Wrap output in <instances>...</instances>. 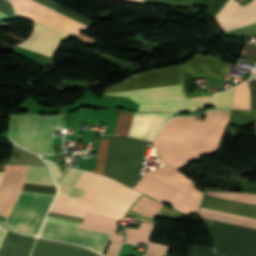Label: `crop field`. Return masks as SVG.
<instances>
[{
	"label": "crop field",
	"mask_w": 256,
	"mask_h": 256,
	"mask_svg": "<svg viewBox=\"0 0 256 256\" xmlns=\"http://www.w3.org/2000/svg\"><path fill=\"white\" fill-rule=\"evenodd\" d=\"M148 144L111 137L104 175L133 188L140 178L137 173ZM105 176L85 171L74 185L87 191L84 198L57 195L50 211L82 218L87 211L122 218L141 193Z\"/></svg>",
	"instance_id": "obj_1"
},
{
	"label": "crop field",
	"mask_w": 256,
	"mask_h": 256,
	"mask_svg": "<svg viewBox=\"0 0 256 256\" xmlns=\"http://www.w3.org/2000/svg\"><path fill=\"white\" fill-rule=\"evenodd\" d=\"M230 64L216 58L195 54L184 64L134 75L106 88L104 93L182 84L186 73L209 74L222 78ZM181 85L109 93L124 96L139 104L138 111H192L212 105V97L186 98ZM183 93L185 94L184 90Z\"/></svg>",
	"instance_id": "obj_2"
},
{
	"label": "crop field",
	"mask_w": 256,
	"mask_h": 256,
	"mask_svg": "<svg viewBox=\"0 0 256 256\" xmlns=\"http://www.w3.org/2000/svg\"><path fill=\"white\" fill-rule=\"evenodd\" d=\"M230 113L208 112L204 121L174 118L152 140L160 162L181 168L218 150Z\"/></svg>",
	"instance_id": "obj_3"
},
{
	"label": "crop field",
	"mask_w": 256,
	"mask_h": 256,
	"mask_svg": "<svg viewBox=\"0 0 256 256\" xmlns=\"http://www.w3.org/2000/svg\"><path fill=\"white\" fill-rule=\"evenodd\" d=\"M184 173L164 165L145 175L134 187L186 214H196L204 193Z\"/></svg>",
	"instance_id": "obj_4"
},
{
	"label": "crop field",
	"mask_w": 256,
	"mask_h": 256,
	"mask_svg": "<svg viewBox=\"0 0 256 256\" xmlns=\"http://www.w3.org/2000/svg\"><path fill=\"white\" fill-rule=\"evenodd\" d=\"M54 128H65V116H11V141L37 154H52Z\"/></svg>",
	"instance_id": "obj_5"
},
{
	"label": "crop field",
	"mask_w": 256,
	"mask_h": 256,
	"mask_svg": "<svg viewBox=\"0 0 256 256\" xmlns=\"http://www.w3.org/2000/svg\"><path fill=\"white\" fill-rule=\"evenodd\" d=\"M217 194L256 202V195L254 194H248L243 192L217 193ZM221 195L205 192V197L201 206L256 218L255 202L230 198V197L221 196ZM203 207L200 208V211L197 216L256 229L255 218L226 213V212L212 210V209L203 208Z\"/></svg>",
	"instance_id": "obj_6"
},
{
	"label": "crop field",
	"mask_w": 256,
	"mask_h": 256,
	"mask_svg": "<svg viewBox=\"0 0 256 256\" xmlns=\"http://www.w3.org/2000/svg\"><path fill=\"white\" fill-rule=\"evenodd\" d=\"M54 196L22 192L4 223L16 232L36 236Z\"/></svg>",
	"instance_id": "obj_7"
},
{
	"label": "crop field",
	"mask_w": 256,
	"mask_h": 256,
	"mask_svg": "<svg viewBox=\"0 0 256 256\" xmlns=\"http://www.w3.org/2000/svg\"><path fill=\"white\" fill-rule=\"evenodd\" d=\"M9 1L13 3L18 15L38 23L73 34L89 28L32 0Z\"/></svg>",
	"instance_id": "obj_8"
},
{
	"label": "crop field",
	"mask_w": 256,
	"mask_h": 256,
	"mask_svg": "<svg viewBox=\"0 0 256 256\" xmlns=\"http://www.w3.org/2000/svg\"><path fill=\"white\" fill-rule=\"evenodd\" d=\"M39 236L87 246L103 254L109 234L82 230L45 222Z\"/></svg>",
	"instance_id": "obj_9"
},
{
	"label": "crop field",
	"mask_w": 256,
	"mask_h": 256,
	"mask_svg": "<svg viewBox=\"0 0 256 256\" xmlns=\"http://www.w3.org/2000/svg\"><path fill=\"white\" fill-rule=\"evenodd\" d=\"M215 18L224 32L256 23V0L244 6L229 0Z\"/></svg>",
	"instance_id": "obj_10"
},
{
	"label": "crop field",
	"mask_w": 256,
	"mask_h": 256,
	"mask_svg": "<svg viewBox=\"0 0 256 256\" xmlns=\"http://www.w3.org/2000/svg\"><path fill=\"white\" fill-rule=\"evenodd\" d=\"M252 110H256V80L249 81ZM231 109L250 110L247 82L234 89ZM229 122H256V112L232 110Z\"/></svg>",
	"instance_id": "obj_11"
},
{
	"label": "crop field",
	"mask_w": 256,
	"mask_h": 256,
	"mask_svg": "<svg viewBox=\"0 0 256 256\" xmlns=\"http://www.w3.org/2000/svg\"><path fill=\"white\" fill-rule=\"evenodd\" d=\"M70 36L58 30L36 24L31 36L18 45L51 56L58 43Z\"/></svg>",
	"instance_id": "obj_12"
},
{
	"label": "crop field",
	"mask_w": 256,
	"mask_h": 256,
	"mask_svg": "<svg viewBox=\"0 0 256 256\" xmlns=\"http://www.w3.org/2000/svg\"><path fill=\"white\" fill-rule=\"evenodd\" d=\"M27 170L5 172L0 182V215L7 217L24 184Z\"/></svg>",
	"instance_id": "obj_13"
},
{
	"label": "crop field",
	"mask_w": 256,
	"mask_h": 256,
	"mask_svg": "<svg viewBox=\"0 0 256 256\" xmlns=\"http://www.w3.org/2000/svg\"><path fill=\"white\" fill-rule=\"evenodd\" d=\"M171 115L167 113H135L128 136L152 139Z\"/></svg>",
	"instance_id": "obj_14"
},
{
	"label": "crop field",
	"mask_w": 256,
	"mask_h": 256,
	"mask_svg": "<svg viewBox=\"0 0 256 256\" xmlns=\"http://www.w3.org/2000/svg\"><path fill=\"white\" fill-rule=\"evenodd\" d=\"M31 256H100L87 249L38 238Z\"/></svg>",
	"instance_id": "obj_15"
},
{
	"label": "crop field",
	"mask_w": 256,
	"mask_h": 256,
	"mask_svg": "<svg viewBox=\"0 0 256 256\" xmlns=\"http://www.w3.org/2000/svg\"><path fill=\"white\" fill-rule=\"evenodd\" d=\"M6 228L0 224V241ZM35 238L18 236L6 230L0 244V256H29Z\"/></svg>",
	"instance_id": "obj_16"
},
{
	"label": "crop field",
	"mask_w": 256,
	"mask_h": 256,
	"mask_svg": "<svg viewBox=\"0 0 256 256\" xmlns=\"http://www.w3.org/2000/svg\"><path fill=\"white\" fill-rule=\"evenodd\" d=\"M116 222L117 219L88 212L80 228L112 234L110 240L121 243L123 236L116 235Z\"/></svg>",
	"instance_id": "obj_17"
},
{
	"label": "crop field",
	"mask_w": 256,
	"mask_h": 256,
	"mask_svg": "<svg viewBox=\"0 0 256 256\" xmlns=\"http://www.w3.org/2000/svg\"><path fill=\"white\" fill-rule=\"evenodd\" d=\"M83 172L84 170L73 169L67 166L61 177L56 182L58 186V194L82 198L85 191L79 190L72 186L83 174Z\"/></svg>",
	"instance_id": "obj_18"
},
{
	"label": "crop field",
	"mask_w": 256,
	"mask_h": 256,
	"mask_svg": "<svg viewBox=\"0 0 256 256\" xmlns=\"http://www.w3.org/2000/svg\"><path fill=\"white\" fill-rule=\"evenodd\" d=\"M25 182L55 186L47 166L29 165Z\"/></svg>",
	"instance_id": "obj_19"
},
{
	"label": "crop field",
	"mask_w": 256,
	"mask_h": 256,
	"mask_svg": "<svg viewBox=\"0 0 256 256\" xmlns=\"http://www.w3.org/2000/svg\"><path fill=\"white\" fill-rule=\"evenodd\" d=\"M153 224L141 223L139 230L126 228L127 243L137 244L138 242L147 244L154 229Z\"/></svg>",
	"instance_id": "obj_20"
},
{
	"label": "crop field",
	"mask_w": 256,
	"mask_h": 256,
	"mask_svg": "<svg viewBox=\"0 0 256 256\" xmlns=\"http://www.w3.org/2000/svg\"><path fill=\"white\" fill-rule=\"evenodd\" d=\"M34 1L39 2L43 5H46V6L52 8V9L58 11V12H61V13L65 14V15L73 18V19H76V20H78V21H80V22H82V23H84L88 26H90L91 24L94 23V21H92L88 18H85V17L69 10L68 8L54 2L53 0H34Z\"/></svg>",
	"instance_id": "obj_21"
},
{
	"label": "crop field",
	"mask_w": 256,
	"mask_h": 256,
	"mask_svg": "<svg viewBox=\"0 0 256 256\" xmlns=\"http://www.w3.org/2000/svg\"><path fill=\"white\" fill-rule=\"evenodd\" d=\"M137 202L140 203V204H143V205H145V206L151 207V208H153V209H156V210H158V211H160V209H161V207H162V205H163V204H161V203H159V202H157V201H154V200H152V199H149V198H147V197H145V196H142ZM138 203H135V205H134L133 208H132L133 210L138 211V212H141V213H143V214H146V215H149V216L153 217V215H154V213H155V210L150 209V208H148V207H145V206H143V205H140V204H138ZM143 220H144V219H143ZM147 221H148V220H147ZM151 222H152V221H151Z\"/></svg>",
	"instance_id": "obj_22"
},
{
	"label": "crop field",
	"mask_w": 256,
	"mask_h": 256,
	"mask_svg": "<svg viewBox=\"0 0 256 256\" xmlns=\"http://www.w3.org/2000/svg\"><path fill=\"white\" fill-rule=\"evenodd\" d=\"M132 115L130 113H118L115 129L113 134H118V135H128Z\"/></svg>",
	"instance_id": "obj_23"
},
{
	"label": "crop field",
	"mask_w": 256,
	"mask_h": 256,
	"mask_svg": "<svg viewBox=\"0 0 256 256\" xmlns=\"http://www.w3.org/2000/svg\"><path fill=\"white\" fill-rule=\"evenodd\" d=\"M233 89L234 87L226 92L218 93L214 95L216 107L230 108ZM210 111L230 112V110H224V109H211Z\"/></svg>",
	"instance_id": "obj_24"
},
{
	"label": "crop field",
	"mask_w": 256,
	"mask_h": 256,
	"mask_svg": "<svg viewBox=\"0 0 256 256\" xmlns=\"http://www.w3.org/2000/svg\"><path fill=\"white\" fill-rule=\"evenodd\" d=\"M109 139L102 138L99 144V152L96 160L95 172L103 175Z\"/></svg>",
	"instance_id": "obj_25"
},
{
	"label": "crop field",
	"mask_w": 256,
	"mask_h": 256,
	"mask_svg": "<svg viewBox=\"0 0 256 256\" xmlns=\"http://www.w3.org/2000/svg\"><path fill=\"white\" fill-rule=\"evenodd\" d=\"M168 247L149 243L148 248L143 256H164Z\"/></svg>",
	"instance_id": "obj_26"
},
{
	"label": "crop field",
	"mask_w": 256,
	"mask_h": 256,
	"mask_svg": "<svg viewBox=\"0 0 256 256\" xmlns=\"http://www.w3.org/2000/svg\"><path fill=\"white\" fill-rule=\"evenodd\" d=\"M23 190L55 194L56 189L52 186L36 185L25 183Z\"/></svg>",
	"instance_id": "obj_27"
},
{
	"label": "crop field",
	"mask_w": 256,
	"mask_h": 256,
	"mask_svg": "<svg viewBox=\"0 0 256 256\" xmlns=\"http://www.w3.org/2000/svg\"><path fill=\"white\" fill-rule=\"evenodd\" d=\"M195 1H198L200 3L210 6L209 10L213 15V17L217 13V11L221 8V6L226 2V0H195Z\"/></svg>",
	"instance_id": "obj_28"
},
{
	"label": "crop field",
	"mask_w": 256,
	"mask_h": 256,
	"mask_svg": "<svg viewBox=\"0 0 256 256\" xmlns=\"http://www.w3.org/2000/svg\"><path fill=\"white\" fill-rule=\"evenodd\" d=\"M0 13L6 15L8 17L16 16V14L11 6V3L6 0H0ZM2 14H0V18L6 17Z\"/></svg>",
	"instance_id": "obj_29"
},
{
	"label": "crop field",
	"mask_w": 256,
	"mask_h": 256,
	"mask_svg": "<svg viewBox=\"0 0 256 256\" xmlns=\"http://www.w3.org/2000/svg\"><path fill=\"white\" fill-rule=\"evenodd\" d=\"M254 47L247 45L240 59L256 63V48Z\"/></svg>",
	"instance_id": "obj_30"
},
{
	"label": "crop field",
	"mask_w": 256,
	"mask_h": 256,
	"mask_svg": "<svg viewBox=\"0 0 256 256\" xmlns=\"http://www.w3.org/2000/svg\"><path fill=\"white\" fill-rule=\"evenodd\" d=\"M47 222H52V223H57V224H63V225H68V226H73V227H80L81 223L80 222H75V221H70V220H64V219H59V218H54V217H46Z\"/></svg>",
	"instance_id": "obj_31"
},
{
	"label": "crop field",
	"mask_w": 256,
	"mask_h": 256,
	"mask_svg": "<svg viewBox=\"0 0 256 256\" xmlns=\"http://www.w3.org/2000/svg\"><path fill=\"white\" fill-rule=\"evenodd\" d=\"M45 161L47 162V164L49 165L52 174L54 176L55 181H57V179L59 178L61 171L57 165V163L52 162L51 160L45 159Z\"/></svg>",
	"instance_id": "obj_32"
},
{
	"label": "crop field",
	"mask_w": 256,
	"mask_h": 256,
	"mask_svg": "<svg viewBox=\"0 0 256 256\" xmlns=\"http://www.w3.org/2000/svg\"><path fill=\"white\" fill-rule=\"evenodd\" d=\"M120 246L121 244L119 243L110 242V245L105 256H117Z\"/></svg>",
	"instance_id": "obj_33"
},
{
	"label": "crop field",
	"mask_w": 256,
	"mask_h": 256,
	"mask_svg": "<svg viewBox=\"0 0 256 256\" xmlns=\"http://www.w3.org/2000/svg\"><path fill=\"white\" fill-rule=\"evenodd\" d=\"M47 215H49V216H54V217H59V218L70 219V220H75V221H80V222L83 221L82 218H77V217H72V216H66V215H61V214H56V213H51V212H48Z\"/></svg>",
	"instance_id": "obj_34"
},
{
	"label": "crop field",
	"mask_w": 256,
	"mask_h": 256,
	"mask_svg": "<svg viewBox=\"0 0 256 256\" xmlns=\"http://www.w3.org/2000/svg\"><path fill=\"white\" fill-rule=\"evenodd\" d=\"M28 165L8 166L6 171L27 169Z\"/></svg>",
	"instance_id": "obj_35"
},
{
	"label": "crop field",
	"mask_w": 256,
	"mask_h": 256,
	"mask_svg": "<svg viewBox=\"0 0 256 256\" xmlns=\"http://www.w3.org/2000/svg\"><path fill=\"white\" fill-rule=\"evenodd\" d=\"M246 192L256 194V182Z\"/></svg>",
	"instance_id": "obj_36"
},
{
	"label": "crop field",
	"mask_w": 256,
	"mask_h": 256,
	"mask_svg": "<svg viewBox=\"0 0 256 256\" xmlns=\"http://www.w3.org/2000/svg\"><path fill=\"white\" fill-rule=\"evenodd\" d=\"M8 164H0V172L5 171ZM4 172L0 173V180Z\"/></svg>",
	"instance_id": "obj_37"
},
{
	"label": "crop field",
	"mask_w": 256,
	"mask_h": 256,
	"mask_svg": "<svg viewBox=\"0 0 256 256\" xmlns=\"http://www.w3.org/2000/svg\"><path fill=\"white\" fill-rule=\"evenodd\" d=\"M135 1H143V0H135Z\"/></svg>",
	"instance_id": "obj_38"
},
{
	"label": "crop field",
	"mask_w": 256,
	"mask_h": 256,
	"mask_svg": "<svg viewBox=\"0 0 256 256\" xmlns=\"http://www.w3.org/2000/svg\"><path fill=\"white\" fill-rule=\"evenodd\" d=\"M120 233L122 234V231Z\"/></svg>",
	"instance_id": "obj_39"
}]
</instances>
